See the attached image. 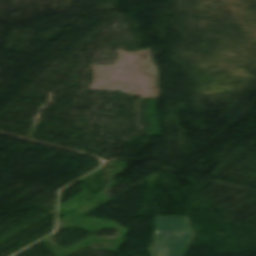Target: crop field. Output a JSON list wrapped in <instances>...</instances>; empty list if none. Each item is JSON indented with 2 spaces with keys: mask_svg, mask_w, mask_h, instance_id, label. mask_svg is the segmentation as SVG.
<instances>
[{
  "mask_svg": "<svg viewBox=\"0 0 256 256\" xmlns=\"http://www.w3.org/2000/svg\"><path fill=\"white\" fill-rule=\"evenodd\" d=\"M157 256H183L194 233L187 217H155Z\"/></svg>",
  "mask_w": 256,
  "mask_h": 256,
  "instance_id": "1",
  "label": "crop field"
}]
</instances>
